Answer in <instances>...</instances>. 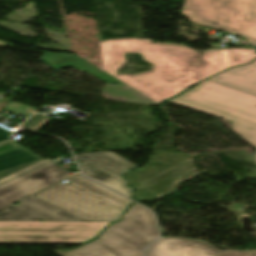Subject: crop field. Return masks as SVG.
Instances as JSON below:
<instances>
[{"label": "crop field", "instance_id": "crop-field-1", "mask_svg": "<svg viewBox=\"0 0 256 256\" xmlns=\"http://www.w3.org/2000/svg\"><path fill=\"white\" fill-rule=\"evenodd\" d=\"M100 45L104 71L159 104L190 84L256 58L253 49L199 52L178 44H152L138 39L111 40ZM125 52L141 53L145 61L154 64L153 72L133 77L116 76L115 69L125 62Z\"/></svg>", "mask_w": 256, "mask_h": 256}, {"label": "crop field", "instance_id": "crop-field-2", "mask_svg": "<svg viewBox=\"0 0 256 256\" xmlns=\"http://www.w3.org/2000/svg\"><path fill=\"white\" fill-rule=\"evenodd\" d=\"M0 211V221H114L132 203L79 173Z\"/></svg>", "mask_w": 256, "mask_h": 256}, {"label": "crop field", "instance_id": "crop-field-3", "mask_svg": "<svg viewBox=\"0 0 256 256\" xmlns=\"http://www.w3.org/2000/svg\"><path fill=\"white\" fill-rule=\"evenodd\" d=\"M168 102L233 121V132L256 147V96L205 80Z\"/></svg>", "mask_w": 256, "mask_h": 256}, {"label": "crop field", "instance_id": "crop-field-4", "mask_svg": "<svg viewBox=\"0 0 256 256\" xmlns=\"http://www.w3.org/2000/svg\"><path fill=\"white\" fill-rule=\"evenodd\" d=\"M157 237L153 217L135 205L128 218L109 226L98 240L71 251H58L59 256H142L147 243Z\"/></svg>", "mask_w": 256, "mask_h": 256}, {"label": "crop field", "instance_id": "crop-field-5", "mask_svg": "<svg viewBox=\"0 0 256 256\" xmlns=\"http://www.w3.org/2000/svg\"><path fill=\"white\" fill-rule=\"evenodd\" d=\"M190 21L246 37L256 45V0H185Z\"/></svg>", "mask_w": 256, "mask_h": 256}, {"label": "crop field", "instance_id": "crop-field-6", "mask_svg": "<svg viewBox=\"0 0 256 256\" xmlns=\"http://www.w3.org/2000/svg\"><path fill=\"white\" fill-rule=\"evenodd\" d=\"M110 222H0V244H78Z\"/></svg>", "mask_w": 256, "mask_h": 256}, {"label": "crop field", "instance_id": "crop-field-7", "mask_svg": "<svg viewBox=\"0 0 256 256\" xmlns=\"http://www.w3.org/2000/svg\"><path fill=\"white\" fill-rule=\"evenodd\" d=\"M68 177L49 159L41 160L0 180V210Z\"/></svg>", "mask_w": 256, "mask_h": 256}, {"label": "crop field", "instance_id": "crop-field-8", "mask_svg": "<svg viewBox=\"0 0 256 256\" xmlns=\"http://www.w3.org/2000/svg\"><path fill=\"white\" fill-rule=\"evenodd\" d=\"M75 157L87 163L80 165L84 175L131 198V189L126 188L125 180L121 179V176L124 171L134 168L136 164L112 152ZM94 170L96 172H93Z\"/></svg>", "mask_w": 256, "mask_h": 256}, {"label": "crop field", "instance_id": "crop-field-9", "mask_svg": "<svg viewBox=\"0 0 256 256\" xmlns=\"http://www.w3.org/2000/svg\"><path fill=\"white\" fill-rule=\"evenodd\" d=\"M220 251L207 242L164 237L149 246L146 256H219Z\"/></svg>", "mask_w": 256, "mask_h": 256}, {"label": "crop field", "instance_id": "crop-field-10", "mask_svg": "<svg viewBox=\"0 0 256 256\" xmlns=\"http://www.w3.org/2000/svg\"><path fill=\"white\" fill-rule=\"evenodd\" d=\"M41 160L14 141L0 143V179Z\"/></svg>", "mask_w": 256, "mask_h": 256}, {"label": "crop field", "instance_id": "crop-field-11", "mask_svg": "<svg viewBox=\"0 0 256 256\" xmlns=\"http://www.w3.org/2000/svg\"><path fill=\"white\" fill-rule=\"evenodd\" d=\"M210 80L256 95V61L232 68Z\"/></svg>", "mask_w": 256, "mask_h": 256}, {"label": "crop field", "instance_id": "crop-field-12", "mask_svg": "<svg viewBox=\"0 0 256 256\" xmlns=\"http://www.w3.org/2000/svg\"><path fill=\"white\" fill-rule=\"evenodd\" d=\"M41 60L54 67L56 71L64 67L70 66L77 70L89 72L90 74L107 84L119 82L116 80V78L104 73L103 71L91 65L79 56H67L62 54L46 53L42 56Z\"/></svg>", "mask_w": 256, "mask_h": 256}, {"label": "crop field", "instance_id": "crop-field-13", "mask_svg": "<svg viewBox=\"0 0 256 256\" xmlns=\"http://www.w3.org/2000/svg\"><path fill=\"white\" fill-rule=\"evenodd\" d=\"M51 118H47L42 114H36L30 119H28L23 126L26 129L37 131L40 129L44 124H46Z\"/></svg>", "mask_w": 256, "mask_h": 256}, {"label": "crop field", "instance_id": "crop-field-14", "mask_svg": "<svg viewBox=\"0 0 256 256\" xmlns=\"http://www.w3.org/2000/svg\"><path fill=\"white\" fill-rule=\"evenodd\" d=\"M37 108L29 107L20 103H16L11 101L10 104L7 106L5 111L11 112V113H21L24 115L29 116L32 114Z\"/></svg>", "mask_w": 256, "mask_h": 256}, {"label": "crop field", "instance_id": "crop-field-15", "mask_svg": "<svg viewBox=\"0 0 256 256\" xmlns=\"http://www.w3.org/2000/svg\"><path fill=\"white\" fill-rule=\"evenodd\" d=\"M220 256H256V251L221 252Z\"/></svg>", "mask_w": 256, "mask_h": 256}, {"label": "crop field", "instance_id": "crop-field-16", "mask_svg": "<svg viewBox=\"0 0 256 256\" xmlns=\"http://www.w3.org/2000/svg\"><path fill=\"white\" fill-rule=\"evenodd\" d=\"M10 135H11V133H9L3 129H0V142L8 140Z\"/></svg>", "mask_w": 256, "mask_h": 256}, {"label": "crop field", "instance_id": "crop-field-17", "mask_svg": "<svg viewBox=\"0 0 256 256\" xmlns=\"http://www.w3.org/2000/svg\"><path fill=\"white\" fill-rule=\"evenodd\" d=\"M8 100H9V98H2V99L0 100V110H1V108L5 105V103H6Z\"/></svg>", "mask_w": 256, "mask_h": 256}, {"label": "crop field", "instance_id": "crop-field-18", "mask_svg": "<svg viewBox=\"0 0 256 256\" xmlns=\"http://www.w3.org/2000/svg\"><path fill=\"white\" fill-rule=\"evenodd\" d=\"M5 44H6L5 42H1V41H0V46H1V45H5Z\"/></svg>", "mask_w": 256, "mask_h": 256}]
</instances>
